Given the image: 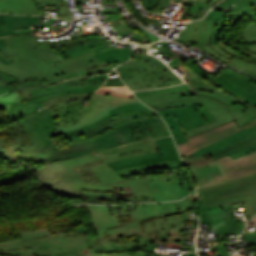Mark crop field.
<instances>
[{
    "label": "crop field",
    "instance_id": "1",
    "mask_svg": "<svg viewBox=\"0 0 256 256\" xmlns=\"http://www.w3.org/2000/svg\"><path fill=\"white\" fill-rule=\"evenodd\" d=\"M36 173L40 184L62 196L79 198L86 190L115 192L116 198L152 197L144 178L121 182L97 152L48 163Z\"/></svg>",
    "mask_w": 256,
    "mask_h": 256
},
{
    "label": "crop field",
    "instance_id": "2",
    "mask_svg": "<svg viewBox=\"0 0 256 256\" xmlns=\"http://www.w3.org/2000/svg\"><path fill=\"white\" fill-rule=\"evenodd\" d=\"M99 238H116L133 231L157 243H164L156 233L157 217L152 203L88 205Z\"/></svg>",
    "mask_w": 256,
    "mask_h": 256
},
{
    "label": "crop field",
    "instance_id": "3",
    "mask_svg": "<svg viewBox=\"0 0 256 256\" xmlns=\"http://www.w3.org/2000/svg\"><path fill=\"white\" fill-rule=\"evenodd\" d=\"M37 36H13L5 38L7 50L15 60L8 67L0 62V72L22 82L32 76L46 79L49 83L63 81L64 78L51 63L64 60L53 48L36 43Z\"/></svg>",
    "mask_w": 256,
    "mask_h": 256
},
{
    "label": "crop field",
    "instance_id": "4",
    "mask_svg": "<svg viewBox=\"0 0 256 256\" xmlns=\"http://www.w3.org/2000/svg\"><path fill=\"white\" fill-rule=\"evenodd\" d=\"M33 136V147L29 150L43 163L95 152L88 138L69 143V148H58L50 138L56 133L51 112L45 108L35 115L20 120Z\"/></svg>",
    "mask_w": 256,
    "mask_h": 256
},
{
    "label": "crop field",
    "instance_id": "5",
    "mask_svg": "<svg viewBox=\"0 0 256 256\" xmlns=\"http://www.w3.org/2000/svg\"><path fill=\"white\" fill-rule=\"evenodd\" d=\"M164 47L160 48L163 52L167 54H171L178 58L169 62V66L174 69L181 66L185 72L189 75L188 77L184 78L185 81L191 86L193 90L191 91H184L175 94H165V95H158V96H151L145 98H138L139 100L145 101H153V100H162L174 97H186L190 95H203L207 97L214 98L227 106H229L231 112L234 114L236 118L237 124L241 127L245 123L249 122L253 118L256 117V108L246 105L232 95L222 91L221 89L217 88L216 86L212 85L208 81L202 79L201 77L197 76L194 72H192L188 67H186L183 63L188 61L185 57L178 55L177 52L171 50V48L167 47L169 43H162Z\"/></svg>",
    "mask_w": 256,
    "mask_h": 256
},
{
    "label": "crop field",
    "instance_id": "6",
    "mask_svg": "<svg viewBox=\"0 0 256 256\" xmlns=\"http://www.w3.org/2000/svg\"><path fill=\"white\" fill-rule=\"evenodd\" d=\"M115 173L121 180L145 177L155 201L180 200L188 194L195 193V181L186 167L141 172L137 166Z\"/></svg>",
    "mask_w": 256,
    "mask_h": 256
},
{
    "label": "crop field",
    "instance_id": "7",
    "mask_svg": "<svg viewBox=\"0 0 256 256\" xmlns=\"http://www.w3.org/2000/svg\"><path fill=\"white\" fill-rule=\"evenodd\" d=\"M25 246L34 247L38 256H70L89 254L90 248L101 246L100 239H91L88 231L68 234L54 229L21 233Z\"/></svg>",
    "mask_w": 256,
    "mask_h": 256
},
{
    "label": "crop field",
    "instance_id": "8",
    "mask_svg": "<svg viewBox=\"0 0 256 256\" xmlns=\"http://www.w3.org/2000/svg\"><path fill=\"white\" fill-rule=\"evenodd\" d=\"M183 161L192 171L198 187L226 180L217 164L226 173L228 177L226 181L256 172V152L235 160H232L229 155L214 160L210 154L206 153L197 157H188Z\"/></svg>",
    "mask_w": 256,
    "mask_h": 256
},
{
    "label": "crop field",
    "instance_id": "9",
    "mask_svg": "<svg viewBox=\"0 0 256 256\" xmlns=\"http://www.w3.org/2000/svg\"><path fill=\"white\" fill-rule=\"evenodd\" d=\"M201 206H216L245 201L251 217L256 213V173L197 190Z\"/></svg>",
    "mask_w": 256,
    "mask_h": 256
},
{
    "label": "crop field",
    "instance_id": "10",
    "mask_svg": "<svg viewBox=\"0 0 256 256\" xmlns=\"http://www.w3.org/2000/svg\"><path fill=\"white\" fill-rule=\"evenodd\" d=\"M158 216L156 231L167 242L166 247H176L182 249L194 250V245L185 246L186 236L184 230L186 227L182 221L180 212L187 213V216L193 227V223L187 211L197 210L194 195L187 196L179 202L153 203Z\"/></svg>",
    "mask_w": 256,
    "mask_h": 256
},
{
    "label": "crop field",
    "instance_id": "11",
    "mask_svg": "<svg viewBox=\"0 0 256 256\" xmlns=\"http://www.w3.org/2000/svg\"><path fill=\"white\" fill-rule=\"evenodd\" d=\"M116 70L132 91L155 88L154 85L179 79L162 62L149 55L134 54L128 63Z\"/></svg>",
    "mask_w": 256,
    "mask_h": 256
},
{
    "label": "crop field",
    "instance_id": "12",
    "mask_svg": "<svg viewBox=\"0 0 256 256\" xmlns=\"http://www.w3.org/2000/svg\"><path fill=\"white\" fill-rule=\"evenodd\" d=\"M167 135H170L169 130L161 118H149L126 124L91 142L97 151H101L144 138H157Z\"/></svg>",
    "mask_w": 256,
    "mask_h": 256
},
{
    "label": "crop field",
    "instance_id": "13",
    "mask_svg": "<svg viewBox=\"0 0 256 256\" xmlns=\"http://www.w3.org/2000/svg\"><path fill=\"white\" fill-rule=\"evenodd\" d=\"M148 106L151 108L158 110L163 108H171L185 105L188 106H202L205 110H207L217 121L211 124L203 125L202 127H198L196 129L188 130L184 132L187 138L198 135L204 131H208L216 126L222 125L226 122L234 120V117L229 107L225 106L224 104L203 96H190L186 98H175V99H168L162 101H153V102H146Z\"/></svg>",
    "mask_w": 256,
    "mask_h": 256
},
{
    "label": "crop field",
    "instance_id": "14",
    "mask_svg": "<svg viewBox=\"0 0 256 256\" xmlns=\"http://www.w3.org/2000/svg\"><path fill=\"white\" fill-rule=\"evenodd\" d=\"M33 138L20 121L0 130V157L11 164L31 160L36 166L43 165L27 149L33 146Z\"/></svg>",
    "mask_w": 256,
    "mask_h": 256
},
{
    "label": "crop field",
    "instance_id": "15",
    "mask_svg": "<svg viewBox=\"0 0 256 256\" xmlns=\"http://www.w3.org/2000/svg\"><path fill=\"white\" fill-rule=\"evenodd\" d=\"M177 110V111H176ZM167 122L176 144L187 141L184 131L216 121L203 108L184 106L157 111ZM174 118V120H173Z\"/></svg>",
    "mask_w": 256,
    "mask_h": 256
},
{
    "label": "crop field",
    "instance_id": "16",
    "mask_svg": "<svg viewBox=\"0 0 256 256\" xmlns=\"http://www.w3.org/2000/svg\"><path fill=\"white\" fill-rule=\"evenodd\" d=\"M256 150V126L244 129L230 137L197 151L194 156L210 153L214 159L229 154L232 159L244 156Z\"/></svg>",
    "mask_w": 256,
    "mask_h": 256
},
{
    "label": "crop field",
    "instance_id": "17",
    "mask_svg": "<svg viewBox=\"0 0 256 256\" xmlns=\"http://www.w3.org/2000/svg\"><path fill=\"white\" fill-rule=\"evenodd\" d=\"M224 14L211 11L198 22L186 24L187 33L175 39L179 42H193L197 45L218 44L219 34L224 28Z\"/></svg>",
    "mask_w": 256,
    "mask_h": 256
},
{
    "label": "crop field",
    "instance_id": "18",
    "mask_svg": "<svg viewBox=\"0 0 256 256\" xmlns=\"http://www.w3.org/2000/svg\"><path fill=\"white\" fill-rule=\"evenodd\" d=\"M152 141L157 152L114 161L107 163V166L112 167L113 170L116 171L137 165L158 163L180 158L171 136L153 139Z\"/></svg>",
    "mask_w": 256,
    "mask_h": 256
},
{
    "label": "crop field",
    "instance_id": "19",
    "mask_svg": "<svg viewBox=\"0 0 256 256\" xmlns=\"http://www.w3.org/2000/svg\"><path fill=\"white\" fill-rule=\"evenodd\" d=\"M225 33L226 32L221 33L219 45L197 46L193 43L183 44L203 50L204 52L214 56L225 64L229 61L242 69L256 73V61H251L247 59L248 56L256 58V45H252L247 50L237 53L235 51H232L233 49L231 50L227 46H224L225 44L223 43V35H225Z\"/></svg>",
    "mask_w": 256,
    "mask_h": 256
},
{
    "label": "crop field",
    "instance_id": "20",
    "mask_svg": "<svg viewBox=\"0 0 256 256\" xmlns=\"http://www.w3.org/2000/svg\"><path fill=\"white\" fill-rule=\"evenodd\" d=\"M56 4L58 18L71 20L66 0H0V13L37 14L46 16L43 6Z\"/></svg>",
    "mask_w": 256,
    "mask_h": 256
},
{
    "label": "crop field",
    "instance_id": "21",
    "mask_svg": "<svg viewBox=\"0 0 256 256\" xmlns=\"http://www.w3.org/2000/svg\"><path fill=\"white\" fill-rule=\"evenodd\" d=\"M256 124V119L252 120L248 124L244 125L243 127L239 128L235 121L227 123L225 125L219 126L214 128L208 132H204L198 136H194L189 138V141L178 144L179 152L183 157H187L198 149L208 146L221 138L227 137L237 131L244 129L245 127L248 129Z\"/></svg>",
    "mask_w": 256,
    "mask_h": 256
},
{
    "label": "crop field",
    "instance_id": "22",
    "mask_svg": "<svg viewBox=\"0 0 256 256\" xmlns=\"http://www.w3.org/2000/svg\"><path fill=\"white\" fill-rule=\"evenodd\" d=\"M201 223L216 226L215 234L240 233L241 230L228 205L216 207H202Z\"/></svg>",
    "mask_w": 256,
    "mask_h": 256
},
{
    "label": "crop field",
    "instance_id": "23",
    "mask_svg": "<svg viewBox=\"0 0 256 256\" xmlns=\"http://www.w3.org/2000/svg\"><path fill=\"white\" fill-rule=\"evenodd\" d=\"M225 68V67H224ZM209 81L239 100L256 89V81L241 76L229 68Z\"/></svg>",
    "mask_w": 256,
    "mask_h": 256
},
{
    "label": "crop field",
    "instance_id": "24",
    "mask_svg": "<svg viewBox=\"0 0 256 256\" xmlns=\"http://www.w3.org/2000/svg\"><path fill=\"white\" fill-rule=\"evenodd\" d=\"M106 64V62L98 61L95 58V51L89 54L74 57L58 63H54L53 66L67 79H72L80 76H85L91 72H102L112 70L113 67L97 69L93 71L85 72L83 68Z\"/></svg>",
    "mask_w": 256,
    "mask_h": 256
},
{
    "label": "crop field",
    "instance_id": "25",
    "mask_svg": "<svg viewBox=\"0 0 256 256\" xmlns=\"http://www.w3.org/2000/svg\"><path fill=\"white\" fill-rule=\"evenodd\" d=\"M96 103L83 101L57 104L48 109L54 116L56 127L79 122L76 119L87 113Z\"/></svg>",
    "mask_w": 256,
    "mask_h": 256
},
{
    "label": "crop field",
    "instance_id": "26",
    "mask_svg": "<svg viewBox=\"0 0 256 256\" xmlns=\"http://www.w3.org/2000/svg\"><path fill=\"white\" fill-rule=\"evenodd\" d=\"M155 151L156 150L151 140H143V141L132 143L126 146L102 151V152H99V154L104 160V162L107 163L110 161L130 157V156H135V155L147 154Z\"/></svg>",
    "mask_w": 256,
    "mask_h": 256
},
{
    "label": "crop field",
    "instance_id": "27",
    "mask_svg": "<svg viewBox=\"0 0 256 256\" xmlns=\"http://www.w3.org/2000/svg\"><path fill=\"white\" fill-rule=\"evenodd\" d=\"M98 88L99 87H87V86L68 88L66 82L64 81L62 83H55V84L46 85V86L22 89V90H18V92L23 91V98L25 100H28L31 98H37L43 95L58 93L62 91H68V93H77V92L93 93Z\"/></svg>",
    "mask_w": 256,
    "mask_h": 256
},
{
    "label": "crop field",
    "instance_id": "28",
    "mask_svg": "<svg viewBox=\"0 0 256 256\" xmlns=\"http://www.w3.org/2000/svg\"><path fill=\"white\" fill-rule=\"evenodd\" d=\"M25 101L15 91L0 97V109H4L6 117L12 123L17 119L32 114L21 102Z\"/></svg>",
    "mask_w": 256,
    "mask_h": 256
},
{
    "label": "crop field",
    "instance_id": "29",
    "mask_svg": "<svg viewBox=\"0 0 256 256\" xmlns=\"http://www.w3.org/2000/svg\"><path fill=\"white\" fill-rule=\"evenodd\" d=\"M39 24L38 16L0 15V37L13 34L12 29L30 28Z\"/></svg>",
    "mask_w": 256,
    "mask_h": 256
},
{
    "label": "crop field",
    "instance_id": "30",
    "mask_svg": "<svg viewBox=\"0 0 256 256\" xmlns=\"http://www.w3.org/2000/svg\"><path fill=\"white\" fill-rule=\"evenodd\" d=\"M90 100L98 104L94 106L87 114L77 119L82 124L92 120L100 112H102L108 105L113 107L116 104H121L127 101H132L137 99H123V98H118L114 96H104V95L94 94Z\"/></svg>",
    "mask_w": 256,
    "mask_h": 256
},
{
    "label": "crop field",
    "instance_id": "31",
    "mask_svg": "<svg viewBox=\"0 0 256 256\" xmlns=\"http://www.w3.org/2000/svg\"><path fill=\"white\" fill-rule=\"evenodd\" d=\"M133 113L139 115L153 113V111L149 109L147 106L143 105L142 103L123 105L121 107L109 111L107 115H105L103 118H101L100 120H98L90 126L97 128L110 120Z\"/></svg>",
    "mask_w": 256,
    "mask_h": 256
},
{
    "label": "crop field",
    "instance_id": "32",
    "mask_svg": "<svg viewBox=\"0 0 256 256\" xmlns=\"http://www.w3.org/2000/svg\"><path fill=\"white\" fill-rule=\"evenodd\" d=\"M130 243H125L127 251H137L138 256H164L162 253H156L154 243L145 237L137 236L129 239Z\"/></svg>",
    "mask_w": 256,
    "mask_h": 256
},
{
    "label": "crop field",
    "instance_id": "33",
    "mask_svg": "<svg viewBox=\"0 0 256 256\" xmlns=\"http://www.w3.org/2000/svg\"><path fill=\"white\" fill-rule=\"evenodd\" d=\"M87 39L90 43L65 47L61 48V50H63L69 56V58L83 55L94 50H96V53L102 52L99 49L106 44L104 41H98L95 36H90ZM81 49H83V51H81Z\"/></svg>",
    "mask_w": 256,
    "mask_h": 256
},
{
    "label": "crop field",
    "instance_id": "34",
    "mask_svg": "<svg viewBox=\"0 0 256 256\" xmlns=\"http://www.w3.org/2000/svg\"><path fill=\"white\" fill-rule=\"evenodd\" d=\"M87 203L115 204V201L126 200L128 202L153 201L152 198L115 199L114 193H98L82 191ZM81 194V195H82Z\"/></svg>",
    "mask_w": 256,
    "mask_h": 256
},
{
    "label": "crop field",
    "instance_id": "35",
    "mask_svg": "<svg viewBox=\"0 0 256 256\" xmlns=\"http://www.w3.org/2000/svg\"><path fill=\"white\" fill-rule=\"evenodd\" d=\"M132 54V49L126 48V50L121 49H110L106 52L96 54V58L99 60L107 61L109 63H123L127 61Z\"/></svg>",
    "mask_w": 256,
    "mask_h": 256
},
{
    "label": "crop field",
    "instance_id": "36",
    "mask_svg": "<svg viewBox=\"0 0 256 256\" xmlns=\"http://www.w3.org/2000/svg\"><path fill=\"white\" fill-rule=\"evenodd\" d=\"M107 75L78 78V79L69 80V81H66V82H67L69 87L82 86V85L102 86V84L104 83V81L107 78Z\"/></svg>",
    "mask_w": 256,
    "mask_h": 256
},
{
    "label": "crop field",
    "instance_id": "37",
    "mask_svg": "<svg viewBox=\"0 0 256 256\" xmlns=\"http://www.w3.org/2000/svg\"><path fill=\"white\" fill-rule=\"evenodd\" d=\"M190 90V87L187 84H182L176 87L171 88H162V89H153V90H145L140 92H135L134 94L137 97L165 94V93H174L178 91Z\"/></svg>",
    "mask_w": 256,
    "mask_h": 256
},
{
    "label": "crop field",
    "instance_id": "38",
    "mask_svg": "<svg viewBox=\"0 0 256 256\" xmlns=\"http://www.w3.org/2000/svg\"><path fill=\"white\" fill-rule=\"evenodd\" d=\"M97 133L94 128L90 127L89 125L82 127L78 130L70 131L67 133L62 134L63 138H67L70 142L83 139L89 137L93 134Z\"/></svg>",
    "mask_w": 256,
    "mask_h": 256
},
{
    "label": "crop field",
    "instance_id": "39",
    "mask_svg": "<svg viewBox=\"0 0 256 256\" xmlns=\"http://www.w3.org/2000/svg\"><path fill=\"white\" fill-rule=\"evenodd\" d=\"M237 1H239V0H225L223 3L215 6L213 9L220 8V9L225 10L226 8H228L229 6H231L232 4H234ZM237 12L243 13L246 16L250 17L252 19V21L256 24V3L249 5L247 7H244L242 9L238 10Z\"/></svg>",
    "mask_w": 256,
    "mask_h": 256
},
{
    "label": "crop field",
    "instance_id": "40",
    "mask_svg": "<svg viewBox=\"0 0 256 256\" xmlns=\"http://www.w3.org/2000/svg\"><path fill=\"white\" fill-rule=\"evenodd\" d=\"M94 93L104 94V95H114V96H119V97H123V98H134V96L128 90V88L126 86L102 87L100 90H98Z\"/></svg>",
    "mask_w": 256,
    "mask_h": 256
},
{
    "label": "crop field",
    "instance_id": "41",
    "mask_svg": "<svg viewBox=\"0 0 256 256\" xmlns=\"http://www.w3.org/2000/svg\"><path fill=\"white\" fill-rule=\"evenodd\" d=\"M90 96L91 94H85V93L68 94L65 96L49 98L43 102V105L45 107L51 104L61 103V102L70 101V100L88 99Z\"/></svg>",
    "mask_w": 256,
    "mask_h": 256
},
{
    "label": "crop field",
    "instance_id": "42",
    "mask_svg": "<svg viewBox=\"0 0 256 256\" xmlns=\"http://www.w3.org/2000/svg\"><path fill=\"white\" fill-rule=\"evenodd\" d=\"M136 102H139V101H133V102H127V103H136ZM125 103V104H127ZM123 105V104H122ZM117 106H120V105H117ZM115 106V107H117ZM114 108V107H113ZM112 109L111 107H107L101 114H99L96 118H94L92 121H90L89 123L87 124H92L93 122L97 121L98 119H100L102 116H104L106 113H108L107 111ZM85 124V125H87ZM85 125H82L80 122L79 123H76V124H72V125H68V126H64V127H58L56 128L57 129V133H64V132H67V131H70V130H74V129H77L79 127H82V126H85Z\"/></svg>",
    "mask_w": 256,
    "mask_h": 256
},
{
    "label": "crop field",
    "instance_id": "43",
    "mask_svg": "<svg viewBox=\"0 0 256 256\" xmlns=\"http://www.w3.org/2000/svg\"><path fill=\"white\" fill-rule=\"evenodd\" d=\"M0 256H35L34 249H20V250H12L0 252ZM88 256H105V255H88Z\"/></svg>",
    "mask_w": 256,
    "mask_h": 256
},
{
    "label": "crop field",
    "instance_id": "44",
    "mask_svg": "<svg viewBox=\"0 0 256 256\" xmlns=\"http://www.w3.org/2000/svg\"><path fill=\"white\" fill-rule=\"evenodd\" d=\"M39 84H48V83L45 79L41 80V79L32 77L31 79H29L28 81H26L24 83L18 81L15 84L11 85V87H13L15 90H17L20 88L32 87L34 85H39Z\"/></svg>",
    "mask_w": 256,
    "mask_h": 256
},
{
    "label": "crop field",
    "instance_id": "45",
    "mask_svg": "<svg viewBox=\"0 0 256 256\" xmlns=\"http://www.w3.org/2000/svg\"><path fill=\"white\" fill-rule=\"evenodd\" d=\"M24 248L21 240H12L0 243V251Z\"/></svg>",
    "mask_w": 256,
    "mask_h": 256
},
{
    "label": "crop field",
    "instance_id": "46",
    "mask_svg": "<svg viewBox=\"0 0 256 256\" xmlns=\"http://www.w3.org/2000/svg\"><path fill=\"white\" fill-rule=\"evenodd\" d=\"M149 117H159V116H158V115H154V116H148V117H142V118L136 117V118L128 119V120H126V121H123V122H121V123L115 124V125H113V126L107 128V129H105V130H103V131H101V132H99V133H97V134H95V135L89 137V139H90V141H91V140H93V139H95V138H97V137L103 135L104 133H106V132H108V131H111V130H113V129H115V128H117V127H119V126H121V125H123V124H125V123L132 122V121H136V120H139V119H145V118H149Z\"/></svg>",
    "mask_w": 256,
    "mask_h": 256
},
{
    "label": "crop field",
    "instance_id": "47",
    "mask_svg": "<svg viewBox=\"0 0 256 256\" xmlns=\"http://www.w3.org/2000/svg\"><path fill=\"white\" fill-rule=\"evenodd\" d=\"M235 241H212V245L218 251L220 256H230L225 250L224 245H233ZM217 245V246H215Z\"/></svg>",
    "mask_w": 256,
    "mask_h": 256
},
{
    "label": "crop field",
    "instance_id": "48",
    "mask_svg": "<svg viewBox=\"0 0 256 256\" xmlns=\"http://www.w3.org/2000/svg\"><path fill=\"white\" fill-rule=\"evenodd\" d=\"M243 39L256 42V25H249L245 28Z\"/></svg>",
    "mask_w": 256,
    "mask_h": 256
},
{
    "label": "crop field",
    "instance_id": "49",
    "mask_svg": "<svg viewBox=\"0 0 256 256\" xmlns=\"http://www.w3.org/2000/svg\"><path fill=\"white\" fill-rule=\"evenodd\" d=\"M196 62L194 59L190 60L189 62L185 63L186 66H188L190 69H192V71H194L196 74L200 75L202 78L206 79V80H211L213 79L212 77H210L209 75L205 74L203 71H201L199 68H197L196 66H194L192 63Z\"/></svg>",
    "mask_w": 256,
    "mask_h": 256
},
{
    "label": "crop field",
    "instance_id": "50",
    "mask_svg": "<svg viewBox=\"0 0 256 256\" xmlns=\"http://www.w3.org/2000/svg\"><path fill=\"white\" fill-rule=\"evenodd\" d=\"M243 16L242 14L234 13V12H228L227 14V22H228V29L239 19H241Z\"/></svg>",
    "mask_w": 256,
    "mask_h": 256
},
{
    "label": "crop field",
    "instance_id": "51",
    "mask_svg": "<svg viewBox=\"0 0 256 256\" xmlns=\"http://www.w3.org/2000/svg\"><path fill=\"white\" fill-rule=\"evenodd\" d=\"M135 116H136V115L133 114V115H128V116H124V117L115 119V120H113V121H110V122H108V123L102 125L101 127L97 128L96 130H97V132H99V131H101V130H103V129H105V128H107V127H109V126H111V125H113V124H115V123L121 122V121H123V120H126V119L131 118V117H135Z\"/></svg>",
    "mask_w": 256,
    "mask_h": 256
},
{
    "label": "crop field",
    "instance_id": "52",
    "mask_svg": "<svg viewBox=\"0 0 256 256\" xmlns=\"http://www.w3.org/2000/svg\"><path fill=\"white\" fill-rule=\"evenodd\" d=\"M244 103H247L251 106H255L256 107V91H254L253 93L249 94L248 96L244 97L242 100H240Z\"/></svg>",
    "mask_w": 256,
    "mask_h": 256
},
{
    "label": "crop field",
    "instance_id": "53",
    "mask_svg": "<svg viewBox=\"0 0 256 256\" xmlns=\"http://www.w3.org/2000/svg\"><path fill=\"white\" fill-rule=\"evenodd\" d=\"M184 1L189 2V3H193V4H195L197 1L208 3L209 5L204 10H201L203 12H207V10L212 7V5L218 3L221 0H184Z\"/></svg>",
    "mask_w": 256,
    "mask_h": 256
},
{
    "label": "crop field",
    "instance_id": "54",
    "mask_svg": "<svg viewBox=\"0 0 256 256\" xmlns=\"http://www.w3.org/2000/svg\"><path fill=\"white\" fill-rule=\"evenodd\" d=\"M178 0H158V5H157V9L155 11H153L154 13H161L162 12V8H164V6L170 4L171 2L177 3Z\"/></svg>",
    "mask_w": 256,
    "mask_h": 256
},
{
    "label": "crop field",
    "instance_id": "55",
    "mask_svg": "<svg viewBox=\"0 0 256 256\" xmlns=\"http://www.w3.org/2000/svg\"><path fill=\"white\" fill-rule=\"evenodd\" d=\"M141 2L148 11L155 10L157 5V0H141Z\"/></svg>",
    "mask_w": 256,
    "mask_h": 256
},
{
    "label": "crop field",
    "instance_id": "56",
    "mask_svg": "<svg viewBox=\"0 0 256 256\" xmlns=\"http://www.w3.org/2000/svg\"><path fill=\"white\" fill-rule=\"evenodd\" d=\"M182 4L192 6L190 12H193V13H198L200 9H204L207 6V4L200 3V2H197L195 5L184 3V2Z\"/></svg>",
    "mask_w": 256,
    "mask_h": 256
},
{
    "label": "crop field",
    "instance_id": "57",
    "mask_svg": "<svg viewBox=\"0 0 256 256\" xmlns=\"http://www.w3.org/2000/svg\"><path fill=\"white\" fill-rule=\"evenodd\" d=\"M120 85H124V84L120 81L119 77H114V78H108V80L103 86H120Z\"/></svg>",
    "mask_w": 256,
    "mask_h": 256
},
{
    "label": "crop field",
    "instance_id": "58",
    "mask_svg": "<svg viewBox=\"0 0 256 256\" xmlns=\"http://www.w3.org/2000/svg\"><path fill=\"white\" fill-rule=\"evenodd\" d=\"M255 2H256V0H242V1H239V2L235 3L236 5L230 11H236L239 8H242V7H244L248 4L255 3Z\"/></svg>",
    "mask_w": 256,
    "mask_h": 256
},
{
    "label": "crop field",
    "instance_id": "59",
    "mask_svg": "<svg viewBox=\"0 0 256 256\" xmlns=\"http://www.w3.org/2000/svg\"><path fill=\"white\" fill-rule=\"evenodd\" d=\"M249 244H253L256 248V235L255 236H244Z\"/></svg>",
    "mask_w": 256,
    "mask_h": 256
},
{
    "label": "crop field",
    "instance_id": "60",
    "mask_svg": "<svg viewBox=\"0 0 256 256\" xmlns=\"http://www.w3.org/2000/svg\"><path fill=\"white\" fill-rule=\"evenodd\" d=\"M178 83H182L180 79L177 80V81H174V82H170V83H166V84L157 85V86H155V87H156V88L165 87V86H169V85H173V84H178Z\"/></svg>",
    "mask_w": 256,
    "mask_h": 256
},
{
    "label": "crop field",
    "instance_id": "61",
    "mask_svg": "<svg viewBox=\"0 0 256 256\" xmlns=\"http://www.w3.org/2000/svg\"><path fill=\"white\" fill-rule=\"evenodd\" d=\"M103 1H105L106 5H111V7L113 6L118 7L115 0H103Z\"/></svg>",
    "mask_w": 256,
    "mask_h": 256
},
{
    "label": "crop field",
    "instance_id": "62",
    "mask_svg": "<svg viewBox=\"0 0 256 256\" xmlns=\"http://www.w3.org/2000/svg\"><path fill=\"white\" fill-rule=\"evenodd\" d=\"M0 54L3 55L7 60H9L11 63L13 62V58L11 56H9L8 54H6L5 52H3L2 50H0Z\"/></svg>",
    "mask_w": 256,
    "mask_h": 256
},
{
    "label": "crop field",
    "instance_id": "63",
    "mask_svg": "<svg viewBox=\"0 0 256 256\" xmlns=\"http://www.w3.org/2000/svg\"><path fill=\"white\" fill-rule=\"evenodd\" d=\"M227 65H229V66H231V67H235V68H237V69H239V70H241V71H243V72H245V73H247V74H250V75H252V76H255L256 77V74H252V73H249V72H247V71H245V70H242V69H240V68H238V67H236V66H234V65H232L231 63H227Z\"/></svg>",
    "mask_w": 256,
    "mask_h": 256
},
{
    "label": "crop field",
    "instance_id": "64",
    "mask_svg": "<svg viewBox=\"0 0 256 256\" xmlns=\"http://www.w3.org/2000/svg\"><path fill=\"white\" fill-rule=\"evenodd\" d=\"M102 66L108 67V66H111V65L106 64V65H102ZM102 66H97V67H92V68H86L85 71L92 70V69H97V68H102Z\"/></svg>",
    "mask_w": 256,
    "mask_h": 256
},
{
    "label": "crop field",
    "instance_id": "65",
    "mask_svg": "<svg viewBox=\"0 0 256 256\" xmlns=\"http://www.w3.org/2000/svg\"><path fill=\"white\" fill-rule=\"evenodd\" d=\"M7 92H10V91L7 90L6 88L0 86V95H1V94H4V93H7Z\"/></svg>",
    "mask_w": 256,
    "mask_h": 256
},
{
    "label": "crop field",
    "instance_id": "66",
    "mask_svg": "<svg viewBox=\"0 0 256 256\" xmlns=\"http://www.w3.org/2000/svg\"><path fill=\"white\" fill-rule=\"evenodd\" d=\"M0 49H6L5 48V43H4V39L0 38Z\"/></svg>",
    "mask_w": 256,
    "mask_h": 256
},
{
    "label": "crop field",
    "instance_id": "67",
    "mask_svg": "<svg viewBox=\"0 0 256 256\" xmlns=\"http://www.w3.org/2000/svg\"><path fill=\"white\" fill-rule=\"evenodd\" d=\"M183 256H196L195 253H189V255H183Z\"/></svg>",
    "mask_w": 256,
    "mask_h": 256
},
{
    "label": "crop field",
    "instance_id": "68",
    "mask_svg": "<svg viewBox=\"0 0 256 256\" xmlns=\"http://www.w3.org/2000/svg\"><path fill=\"white\" fill-rule=\"evenodd\" d=\"M154 114H157V113H153V114H146V115H140V116H138V117L148 116V115H154Z\"/></svg>",
    "mask_w": 256,
    "mask_h": 256
},
{
    "label": "crop field",
    "instance_id": "69",
    "mask_svg": "<svg viewBox=\"0 0 256 256\" xmlns=\"http://www.w3.org/2000/svg\"><path fill=\"white\" fill-rule=\"evenodd\" d=\"M253 221H254V223H255V225H256V216H255V218L253 219Z\"/></svg>",
    "mask_w": 256,
    "mask_h": 256
},
{
    "label": "crop field",
    "instance_id": "70",
    "mask_svg": "<svg viewBox=\"0 0 256 256\" xmlns=\"http://www.w3.org/2000/svg\"><path fill=\"white\" fill-rule=\"evenodd\" d=\"M232 256H238L237 254H235V255H232Z\"/></svg>",
    "mask_w": 256,
    "mask_h": 256
}]
</instances>
